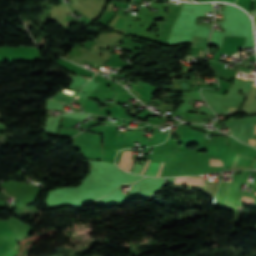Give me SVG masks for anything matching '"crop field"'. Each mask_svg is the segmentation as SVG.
<instances>
[{
	"mask_svg": "<svg viewBox=\"0 0 256 256\" xmlns=\"http://www.w3.org/2000/svg\"><path fill=\"white\" fill-rule=\"evenodd\" d=\"M175 183H185V184H195V185L205 186L203 178L201 179L176 178Z\"/></svg>",
	"mask_w": 256,
	"mask_h": 256,
	"instance_id": "obj_1",
	"label": "crop field"
},
{
	"mask_svg": "<svg viewBox=\"0 0 256 256\" xmlns=\"http://www.w3.org/2000/svg\"><path fill=\"white\" fill-rule=\"evenodd\" d=\"M163 164H164V163L162 162L156 176H159V175H160V173H161V171H162Z\"/></svg>",
	"mask_w": 256,
	"mask_h": 256,
	"instance_id": "obj_7",
	"label": "crop field"
},
{
	"mask_svg": "<svg viewBox=\"0 0 256 256\" xmlns=\"http://www.w3.org/2000/svg\"><path fill=\"white\" fill-rule=\"evenodd\" d=\"M149 163H150V160H147V161H146V164H145V166H144V168H143V170H142V172H141V174L144 173V171L146 170V168H147V166H148Z\"/></svg>",
	"mask_w": 256,
	"mask_h": 256,
	"instance_id": "obj_6",
	"label": "crop field"
},
{
	"mask_svg": "<svg viewBox=\"0 0 256 256\" xmlns=\"http://www.w3.org/2000/svg\"><path fill=\"white\" fill-rule=\"evenodd\" d=\"M137 93V92H136ZM138 94V93H137Z\"/></svg>",
	"mask_w": 256,
	"mask_h": 256,
	"instance_id": "obj_9",
	"label": "crop field"
},
{
	"mask_svg": "<svg viewBox=\"0 0 256 256\" xmlns=\"http://www.w3.org/2000/svg\"><path fill=\"white\" fill-rule=\"evenodd\" d=\"M255 194H256V191H255Z\"/></svg>",
	"mask_w": 256,
	"mask_h": 256,
	"instance_id": "obj_8",
	"label": "crop field"
},
{
	"mask_svg": "<svg viewBox=\"0 0 256 256\" xmlns=\"http://www.w3.org/2000/svg\"><path fill=\"white\" fill-rule=\"evenodd\" d=\"M131 155H132V151L123 152L118 164L122 169H125Z\"/></svg>",
	"mask_w": 256,
	"mask_h": 256,
	"instance_id": "obj_2",
	"label": "crop field"
},
{
	"mask_svg": "<svg viewBox=\"0 0 256 256\" xmlns=\"http://www.w3.org/2000/svg\"><path fill=\"white\" fill-rule=\"evenodd\" d=\"M210 162H221V160L210 159ZM210 166H223V164H210Z\"/></svg>",
	"mask_w": 256,
	"mask_h": 256,
	"instance_id": "obj_4",
	"label": "crop field"
},
{
	"mask_svg": "<svg viewBox=\"0 0 256 256\" xmlns=\"http://www.w3.org/2000/svg\"><path fill=\"white\" fill-rule=\"evenodd\" d=\"M158 166L157 164H153L151 163L146 175L147 176H155L156 175V172H157V169H158Z\"/></svg>",
	"mask_w": 256,
	"mask_h": 256,
	"instance_id": "obj_3",
	"label": "crop field"
},
{
	"mask_svg": "<svg viewBox=\"0 0 256 256\" xmlns=\"http://www.w3.org/2000/svg\"><path fill=\"white\" fill-rule=\"evenodd\" d=\"M241 199H243V200H247V201H251V202H253L254 200H253V198H250V197H245V196H242V198Z\"/></svg>",
	"mask_w": 256,
	"mask_h": 256,
	"instance_id": "obj_5",
	"label": "crop field"
}]
</instances>
